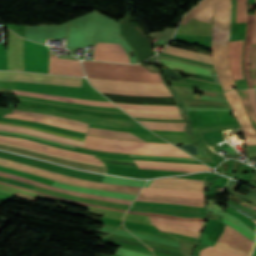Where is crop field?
<instances>
[{"instance_id": "crop-field-1", "label": "crop field", "mask_w": 256, "mask_h": 256, "mask_svg": "<svg viewBox=\"0 0 256 256\" xmlns=\"http://www.w3.org/2000/svg\"><path fill=\"white\" fill-rule=\"evenodd\" d=\"M2 124H8V125H14V126H21V127H27V128H33L38 129L62 136L82 139L62 133L52 132L32 126H26V125H18V124H10V123H3ZM0 124V130H7V131H15V132H21L65 144L75 145L82 147L83 141L62 137L38 130H32V129H26V128H20V127H14V126H8V125H2ZM85 148H91L99 151H107V152H120V153H137V154H153V155H169V156H186V157H192L188 155L187 153L183 152L182 150L176 148L175 146L171 144H155V143H149V142H140V141H129V140H117V139H108V138H100V137H94V136H88L85 137L84 146Z\"/></svg>"}, {"instance_id": "crop-field-2", "label": "crop field", "mask_w": 256, "mask_h": 256, "mask_svg": "<svg viewBox=\"0 0 256 256\" xmlns=\"http://www.w3.org/2000/svg\"><path fill=\"white\" fill-rule=\"evenodd\" d=\"M210 0H203L191 10L182 20L186 24L193 16L200 12ZM214 26L212 36V55L214 67L224 91L233 89L235 86L231 76L228 62L229 33H230V0H214Z\"/></svg>"}, {"instance_id": "crop-field-3", "label": "crop field", "mask_w": 256, "mask_h": 256, "mask_svg": "<svg viewBox=\"0 0 256 256\" xmlns=\"http://www.w3.org/2000/svg\"><path fill=\"white\" fill-rule=\"evenodd\" d=\"M58 56H52L49 47L32 43L25 39L24 46V67L25 70L45 72L54 74H66L84 76L79 61L57 59Z\"/></svg>"}, {"instance_id": "crop-field-4", "label": "crop field", "mask_w": 256, "mask_h": 256, "mask_svg": "<svg viewBox=\"0 0 256 256\" xmlns=\"http://www.w3.org/2000/svg\"><path fill=\"white\" fill-rule=\"evenodd\" d=\"M88 77L127 81L163 82L157 73H151L141 65H126L95 61L82 62Z\"/></svg>"}, {"instance_id": "crop-field-5", "label": "crop field", "mask_w": 256, "mask_h": 256, "mask_svg": "<svg viewBox=\"0 0 256 256\" xmlns=\"http://www.w3.org/2000/svg\"><path fill=\"white\" fill-rule=\"evenodd\" d=\"M0 144H5V145H0V148H2V149H6V150L13 151V152H16V153H20V154L40 158V159H45V160H49V161H53V162L73 166V167H78V168L91 170V171L102 172V173H104L105 169H106L105 165H101V164L68 159V158H64V157L51 155V154L43 153V152H40V151H36V150L16 146V145L9 144V143L0 142Z\"/></svg>"}, {"instance_id": "crop-field-6", "label": "crop field", "mask_w": 256, "mask_h": 256, "mask_svg": "<svg viewBox=\"0 0 256 256\" xmlns=\"http://www.w3.org/2000/svg\"><path fill=\"white\" fill-rule=\"evenodd\" d=\"M2 81H22L81 87L82 78L32 74L23 72H0Z\"/></svg>"}, {"instance_id": "crop-field-7", "label": "crop field", "mask_w": 256, "mask_h": 256, "mask_svg": "<svg viewBox=\"0 0 256 256\" xmlns=\"http://www.w3.org/2000/svg\"><path fill=\"white\" fill-rule=\"evenodd\" d=\"M88 79L95 88L100 89L120 91L169 92L164 83H138L93 78Z\"/></svg>"}, {"instance_id": "crop-field-8", "label": "crop field", "mask_w": 256, "mask_h": 256, "mask_svg": "<svg viewBox=\"0 0 256 256\" xmlns=\"http://www.w3.org/2000/svg\"><path fill=\"white\" fill-rule=\"evenodd\" d=\"M225 97L229 102L234 116L238 119L245 136V145L256 144V133L254 132L250 121L248 120L243 109L241 99L237 91L225 92Z\"/></svg>"}, {"instance_id": "crop-field-9", "label": "crop field", "mask_w": 256, "mask_h": 256, "mask_svg": "<svg viewBox=\"0 0 256 256\" xmlns=\"http://www.w3.org/2000/svg\"><path fill=\"white\" fill-rule=\"evenodd\" d=\"M0 163L15 166V167H19V168H23V169H26V170H30V171H34V172H38V173H42V174H46V175L53 176V177L63 179V180H66V181L77 182V183H82V184H87V185H93V186H99V187H105V188H111V189L135 191V192H139V190L141 189L139 187L105 184V183H99V182L84 180V179H80V178L70 177V176L45 171V170H42V169H38V168H35V167L23 165V164H20V163H16V162L4 160V159H0Z\"/></svg>"}, {"instance_id": "crop-field-10", "label": "crop field", "mask_w": 256, "mask_h": 256, "mask_svg": "<svg viewBox=\"0 0 256 256\" xmlns=\"http://www.w3.org/2000/svg\"><path fill=\"white\" fill-rule=\"evenodd\" d=\"M23 46L24 39L9 30L7 45L8 70H24Z\"/></svg>"}, {"instance_id": "crop-field-11", "label": "crop field", "mask_w": 256, "mask_h": 256, "mask_svg": "<svg viewBox=\"0 0 256 256\" xmlns=\"http://www.w3.org/2000/svg\"><path fill=\"white\" fill-rule=\"evenodd\" d=\"M94 60L130 63L120 44L97 43L94 49Z\"/></svg>"}, {"instance_id": "crop-field-12", "label": "crop field", "mask_w": 256, "mask_h": 256, "mask_svg": "<svg viewBox=\"0 0 256 256\" xmlns=\"http://www.w3.org/2000/svg\"><path fill=\"white\" fill-rule=\"evenodd\" d=\"M148 187L192 190L203 192V181L192 179L161 178L154 180Z\"/></svg>"}, {"instance_id": "crop-field-13", "label": "crop field", "mask_w": 256, "mask_h": 256, "mask_svg": "<svg viewBox=\"0 0 256 256\" xmlns=\"http://www.w3.org/2000/svg\"><path fill=\"white\" fill-rule=\"evenodd\" d=\"M0 176L16 179V180L26 182V183H29V184H32V185L42 186V187H45V188H48V189L56 190V191H59V192L70 194V195L93 198V199H99V200H105V201H111V202H117V203L128 204V205H131V203H132L131 200L116 199V198H111V197H106V196H101V195H95V194L65 190V189L53 187V186H50V185H46V184H43V183H39V182H36V181H32V180H29V179H25V178H22V177L14 176V175L3 173V172H0Z\"/></svg>"}, {"instance_id": "crop-field-14", "label": "crop field", "mask_w": 256, "mask_h": 256, "mask_svg": "<svg viewBox=\"0 0 256 256\" xmlns=\"http://www.w3.org/2000/svg\"><path fill=\"white\" fill-rule=\"evenodd\" d=\"M136 200L141 201H152V202H164V203H174L192 206L204 207V199L183 197V196H171V195H155V194H144L140 193Z\"/></svg>"}, {"instance_id": "crop-field-15", "label": "crop field", "mask_w": 256, "mask_h": 256, "mask_svg": "<svg viewBox=\"0 0 256 256\" xmlns=\"http://www.w3.org/2000/svg\"><path fill=\"white\" fill-rule=\"evenodd\" d=\"M218 242L230 245L249 254L251 253L254 244V242L227 225Z\"/></svg>"}, {"instance_id": "crop-field-16", "label": "crop field", "mask_w": 256, "mask_h": 256, "mask_svg": "<svg viewBox=\"0 0 256 256\" xmlns=\"http://www.w3.org/2000/svg\"><path fill=\"white\" fill-rule=\"evenodd\" d=\"M243 40L230 42L229 61L234 80L244 79L241 70V51Z\"/></svg>"}, {"instance_id": "crop-field-17", "label": "crop field", "mask_w": 256, "mask_h": 256, "mask_svg": "<svg viewBox=\"0 0 256 256\" xmlns=\"http://www.w3.org/2000/svg\"><path fill=\"white\" fill-rule=\"evenodd\" d=\"M153 225L164 226V227H172V228H182V229H190L194 231H200L203 222H184L173 219L159 218L149 216Z\"/></svg>"}, {"instance_id": "crop-field-18", "label": "crop field", "mask_w": 256, "mask_h": 256, "mask_svg": "<svg viewBox=\"0 0 256 256\" xmlns=\"http://www.w3.org/2000/svg\"><path fill=\"white\" fill-rule=\"evenodd\" d=\"M14 94L41 97V98L54 99V100H60V101H66V102H72V103H78V104H84V105H92V106H113V107L116 106V105L114 106L112 103H107V102L90 101V100H83V99H76V98L58 97V96L23 92V91H17V90H14Z\"/></svg>"}, {"instance_id": "crop-field-19", "label": "crop field", "mask_w": 256, "mask_h": 256, "mask_svg": "<svg viewBox=\"0 0 256 256\" xmlns=\"http://www.w3.org/2000/svg\"><path fill=\"white\" fill-rule=\"evenodd\" d=\"M253 20H254V16L248 15L247 29H246V44H245V47H248V48H250L251 46ZM249 59H250V49L245 48L244 49V70H245V75L247 77L248 86L249 88H252V82H251L250 72H249Z\"/></svg>"}, {"instance_id": "crop-field-20", "label": "crop field", "mask_w": 256, "mask_h": 256, "mask_svg": "<svg viewBox=\"0 0 256 256\" xmlns=\"http://www.w3.org/2000/svg\"><path fill=\"white\" fill-rule=\"evenodd\" d=\"M130 210L142 211V212H153V213H164V214H171V215L191 217V218H205L204 213H193V212H187V211L168 210V209H159V208H150V207L131 206Z\"/></svg>"}, {"instance_id": "crop-field-21", "label": "crop field", "mask_w": 256, "mask_h": 256, "mask_svg": "<svg viewBox=\"0 0 256 256\" xmlns=\"http://www.w3.org/2000/svg\"><path fill=\"white\" fill-rule=\"evenodd\" d=\"M87 134L105 136V137H111V138H118V139L142 140L130 133H127V132L95 129V128H90V127L88 128Z\"/></svg>"}, {"instance_id": "crop-field-22", "label": "crop field", "mask_w": 256, "mask_h": 256, "mask_svg": "<svg viewBox=\"0 0 256 256\" xmlns=\"http://www.w3.org/2000/svg\"><path fill=\"white\" fill-rule=\"evenodd\" d=\"M4 117H10V118L28 120V121H35V122H40V123H44V124L60 126V127L84 132V133L86 132V129H87V128H83V127H77V126H73V125H68V124H64V123H59V122H54V121H49V120H44V119H39V118H34V117L11 115V114H6V115H4Z\"/></svg>"}, {"instance_id": "crop-field-23", "label": "crop field", "mask_w": 256, "mask_h": 256, "mask_svg": "<svg viewBox=\"0 0 256 256\" xmlns=\"http://www.w3.org/2000/svg\"><path fill=\"white\" fill-rule=\"evenodd\" d=\"M160 61L164 62V63H169V64H165V65L168 66L171 69H177V70L189 71V72H196V73H201L203 75L211 76L210 71L206 70V69H202V68H198V67L178 63V62L164 61V60H160Z\"/></svg>"}, {"instance_id": "crop-field-24", "label": "crop field", "mask_w": 256, "mask_h": 256, "mask_svg": "<svg viewBox=\"0 0 256 256\" xmlns=\"http://www.w3.org/2000/svg\"><path fill=\"white\" fill-rule=\"evenodd\" d=\"M162 52L180 56V57H184V58H188V59H192V60H196V61H201V59L197 56L196 53L188 51V50L180 49L177 47H173L170 45H168V47L165 50H163Z\"/></svg>"}, {"instance_id": "crop-field-25", "label": "crop field", "mask_w": 256, "mask_h": 256, "mask_svg": "<svg viewBox=\"0 0 256 256\" xmlns=\"http://www.w3.org/2000/svg\"><path fill=\"white\" fill-rule=\"evenodd\" d=\"M116 104L121 108H134V109L158 110V111L178 110L177 106L133 105V104H121V103H116Z\"/></svg>"}, {"instance_id": "crop-field-26", "label": "crop field", "mask_w": 256, "mask_h": 256, "mask_svg": "<svg viewBox=\"0 0 256 256\" xmlns=\"http://www.w3.org/2000/svg\"><path fill=\"white\" fill-rule=\"evenodd\" d=\"M238 93L244 103L246 113L252 122L253 128L256 131V115L248 101V92L247 90H238Z\"/></svg>"}, {"instance_id": "crop-field-27", "label": "crop field", "mask_w": 256, "mask_h": 256, "mask_svg": "<svg viewBox=\"0 0 256 256\" xmlns=\"http://www.w3.org/2000/svg\"><path fill=\"white\" fill-rule=\"evenodd\" d=\"M0 166H4V167L16 169V170H20V171H24V172H28V173H32V174H35V175H39V176H42V177H46V178H49V179H53V180H56V181H60V182L71 184V185H75V186H81V187H87V188H93V189H99V190H108V191H114V192H123V193L137 194V193H134V192L118 191V190H111V189H105V188L86 186V185H82V184L70 183V182L59 180V179H56V178H53V177H49V176H46V175H42V174H38V173H34V172H30V171H26V170H22V169H18V168L6 166V165H3V164H0Z\"/></svg>"}, {"instance_id": "crop-field-28", "label": "crop field", "mask_w": 256, "mask_h": 256, "mask_svg": "<svg viewBox=\"0 0 256 256\" xmlns=\"http://www.w3.org/2000/svg\"><path fill=\"white\" fill-rule=\"evenodd\" d=\"M236 185H237V182H234V181H232V180L229 181V183L226 185V188H227V189H230L229 193H232V194H234V195H237V196L243 198L244 200H246V201H248V202H250V203L256 205V191L251 190V191L248 193V195L245 197V196H243V195H240V194H238V193L233 192L234 189H235V187H236Z\"/></svg>"}, {"instance_id": "crop-field-29", "label": "crop field", "mask_w": 256, "mask_h": 256, "mask_svg": "<svg viewBox=\"0 0 256 256\" xmlns=\"http://www.w3.org/2000/svg\"><path fill=\"white\" fill-rule=\"evenodd\" d=\"M200 256H240L233 253L225 252L215 247H207L200 251Z\"/></svg>"}, {"instance_id": "crop-field-30", "label": "crop field", "mask_w": 256, "mask_h": 256, "mask_svg": "<svg viewBox=\"0 0 256 256\" xmlns=\"http://www.w3.org/2000/svg\"><path fill=\"white\" fill-rule=\"evenodd\" d=\"M213 9H214V3H213V0H211L209 4L194 18L210 23V19L213 15Z\"/></svg>"}, {"instance_id": "crop-field-31", "label": "crop field", "mask_w": 256, "mask_h": 256, "mask_svg": "<svg viewBox=\"0 0 256 256\" xmlns=\"http://www.w3.org/2000/svg\"><path fill=\"white\" fill-rule=\"evenodd\" d=\"M0 171L14 173V174H17V175H20V176H23V177H26V178H29V179L37 180V181H40V182H43V183H47V184H50V185H52L54 183V181H51V180H48V179H44V178H41V177H38V176H35V175L27 174V173H24V172L8 169V168H4V167H0Z\"/></svg>"}, {"instance_id": "crop-field-32", "label": "crop field", "mask_w": 256, "mask_h": 256, "mask_svg": "<svg viewBox=\"0 0 256 256\" xmlns=\"http://www.w3.org/2000/svg\"><path fill=\"white\" fill-rule=\"evenodd\" d=\"M246 0H237L236 22H246Z\"/></svg>"}, {"instance_id": "crop-field-33", "label": "crop field", "mask_w": 256, "mask_h": 256, "mask_svg": "<svg viewBox=\"0 0 256 256\" xmlns=\"http://www.w3.org/2000/svg\"><path fill=\"white\" fill-rule=\"evenodd\" d=\"M250 69H251V75L253 80V86L254 88H256V45L255 44H252Z\"/></svg>"}, {"instance_id": "crop-field-34", "label": "crop field", "mask_w": 256, "mask_h": 256, "mask_svg": "<svg viewBox=\"0 0 256 256\" xmlns=\"http://www.w3.org/2000/svg\"><path fill=\"white\" fill-rule=\"evenodd\" d=\"M157 228H159L161 230L168 231V232L187 235V236H191V237H195V238H198V236L200 235V233L190 231V230L172 229V228H164V227H157Z\"/></svg>"}, {"instance_id": "crop-field-35", "label": "crop field", "mask_w": 256, "mask_h": 256, "mask_svg": "<svg viewBox=\"0 0 256 256\" xmlns=\"http://www.w3.org/2000/svg\"><path fill=\"white\" fill-rule=\"evenodd\" d=\"M223 222L228 224L229 226H231L232 228H234L235 230H237L238 232H240L241 234L245 235L246 237H248L249 239H251L252 241L255 240V237H253L251 234H249L248 232H246L244 229H242L241 227H239L238 225H236L235 223L229 221L228 219L222 217Z\"/></svg>"}, {"instance_id": "crop-field-36", "label": "crop field", "mask_w": 256, "mask_h": 256, "mask_svg": "<svg viewBox=\"0 0 256 256\" xmlns=\"http://www.w3.org/2000/svg\"><path fill=\"white\" fill-rule=\"evenodd\" d=\"M0 139H3V138H0ZM4 140L16 141V140H12V139H4ZM17 142H21V141H17ZM21 143L28 144V145H31V146H35V147H38V148H41V149L49 150V151H54V152H58V153L67 154V155H72V156H77V157H83V158H89V159L99 160V159H97V158H91V157H87V156H83V155H78V154H73V153H68V152L53 150V149H49V148H46V147H42V146H38V145L26 143V142H21ZM99 161H100V160H99Z\"/></svg>"}, {"instance_id": "crop-field-37", "label": "crop field", "mask_w": 256, "mask_h": 256, "mask_svg": "<svg viewBox=\"0 0 256 256\" xmlns=\"http://www.w3.org/2000/svg\"><path fill=\"white\" fill-rule=\"evenodd\" d=\"M0 69L7 70V57L5 44H0Z\"/></svg>"}, {"instance_id": "crop-field-38", "label": "crop field", "mask_w": 256, "mask_h": 256, "mask_svg": "<svg viewBox=\"0 0 256 256\" xmlns=\"http://www.w3.org/2000/svg\"><path fill=\"white\" fill-rule=\"evenodd\" d=\"M215 247L220 248V249L225 250V251H229V252H233V253H236V254H240V255H243V256H249V254H247V253H244V252H242L240 250H237L235 248H232L230 246H227V245H224V244H221V243H218V242L215 244Z\"/></svg>"}, {"instance_id": "crop-field-39", "label": "crop field", "mask_w": 256, "mask_h": 256, "mask_svg": "<svg viewBox=\"0 0 256 256\" xmlns=\"http://www.w3.org/2000/svg\"><path fill=\"white\" fill-rule=\"evenodd\" d=\"M0 141H4V140H0ZM4 142L14 143V144H18V145H21V146H25V147L37 149V148L30 147V146H27V145H24V144H20V143H16V142H11V141H4ZM37 150L44 151V152L51 153V154L61 155V156L69 157V158H74V159H78V160H84V161H91V162H96V163H102V162H99V161H94V160H89V159H83V158H77V157H71V156L62 155V154H57V153H53V152H49V151H45V150H41V149H37Z\"/></svg>"}, {"instance_id": "crop-field-40", "label": "crop field", "mask_w": 256, "mask_h": 256, "mask_svg": "<svg viewBox=\"0 0 256 256\" xmlns=\"http://www.w3.org/2000/svg\"><path fill=\"white\" fill-rule=\"evenodd\" d=\"M226 211L231 213L232 215L236 216L237 218H239L240 220H242L244 223H246L248 226H250L252 229L255 230L256 224L252 223L251 221H249L248 219L244 218L243 216H241L240 214H238L237 212H235L231 209L227 208Z\"/></svg>"}, {"instance_id": "crop-field-41", "label": "crop field", "mask_w": 256, "mask_h": 256, "mask_svg": "<svg viewBox=\"0 0 256 256\" xmlns=\"http://www.w3.org/2000/svg\"><path fill=\"white\" fill-rule=\"evenodd\" d=\"M0 181H4V182L10 183V184H14V185H18V186H22V187H26V188L34 190V186H32V185L25 184V183H22V182L11 180V179H7V178H4V177H0Z\"/></svg>"}, {"instance_id": "crop-field-42", "label": "crop field", "mask_w": 256, "mask_h": 256, "mask_svg": "<svg viewBox=\"0 0 256 256\" xmlns=\"http://www.w3.org/2000/svg\"><path fill=\"white\" fill-rule=\"evenodd\" d=\"M137 165L186 168V169H196V170H212L210 168H194V167H181V166H168V165L141 164V163H137Z\"/></svg>"}, {"instance_id": "crop-field-43", "label": "crop field", "mask_w": 256, "mask_h": 256, "mask_svg": "<svg viewBox=\"0 0 256 256\" xmlns=\"http://www.w3.org/2000/svg\"><path fill=\"white\" fill-rule=\"evenodd\" d=\"M0 132H2V133H8V134H14V135L27 136V137H31V138L40 139V138H37V137H33V136H29V135H24V134H20V133L7 132V131H0ZM40 140H44V139H40ZM44 141H48V140H44ZM48 142H51V143H54V144H58V145H62V146H66V147H72V148H78V149H80L79 147H75V146L65 145V144L56 143V142H52V141H48Z\"/></svg>"}, {"instance_id": "crop-field-44", "label": "crop field", "mask_w": 256, "mask_h": 256, "mask_svg": "<svg viewBox=\"0 0 256 256\" xmlns=\"http://www.w3.org/2000/svg\"><path fill=\"white\" fill-rule=\"evenodd\" d=\"M134 162H147V163H161V164H175V165H189V166H203V167H207L205 165L187 164V163L148 162V161H138V160H134Z\"/></svg>"}, {"instance_id": "crop-field-45", "label": "crop field", "mask_w": 256, "mask_h": 256, "mask_svg": "<svg viewBox=\"0 0 256 256\" xmlns=\"http://www.w3.org/2000/svg\"><path fill=\"white\" fill-rule=\"evenodd\" d=\"M128 113L133 115H150V116H181L180 114H149V113H132V112H128Z\"/></svg>"}, {"instance_id": "crop-field-46", "label": "crop field", "mask_w": 256, "mask_h": 256, "mask_svg": "<svg viewBox=\"0 0 256 256\" xmlns=\"http://www.w3.org/2000/svg\"><path fill=\"white\" fill-rule=\"evenodd\" d=\"M1 137H8V136H1ZM8 138L20 139V140H24V141H27V142L35 143V144H38V145L50 147V146H48V145L40 144V143H37V142H33V141L21 139V138H15V137H8ZM50 148H54V147H50ZM54 149H58V148H54ZM58 150H63V149H58ZM63 151H67V150H63ZM68 152H71V151H68ZM73 153H76V152H73ZM78 154H81V153H78ZM83 155H87V154H83ZM88 156H92V155H88ZM92 157H94V156H92Z\"/></svg>"}, {"instance_id": "crop-field-47", "label": "crop field", "mask_w": 256, "mask_h": 256, "mask_svg": "<svg viewBox=\"0 0 256 256\" xmlns=\"http://www.w3.org/2000/svg\"><path fill=\"white\" fill-rule=\"evenodd\" d=\"M227 202L230 203V204H232V205L238 206V207H240V208H242V209L248 211L249 213L253 214L254 216H256V211H254V210H250V209H248V208H246V207H244V206H242V205H240V204H238V203H235V202H233V201H230V200H228V199H227Z\"/></svg>"}, {"instance_id": "crop-field-48", "label": "crop field", "mask_w": 256, "mask_h": 256, "mask_svg": "<svg viewBox=\"0 0 256 256\" xmlns=\"http://www.w3.org/2000/svg\"><path fill=\"white\" fill-rule=\"evenodd\" d=\"M131 116H133V115H131ZM133 117L153 118V119H182L181 117H150V116H133Z\"/></svg>"}, {"instance_id": "crop-field-49", "label": "crop field", "mask_w": 256, "mask_h": 256, "mask_svg": "<svg viewBox=\"0 0 256 256\" xmlns=\"http://www.w3.org/2000/svg\"><path fill=\"white\" fill-rule=\"evenodd\" d=\"M140 168H145V169H161V170H178V171L194 172V170H180V169H168V168L145 167V166H140Z\"/></svg>"}, {"instance_id": "crop-field-50", "label": "crop field", "mask_w": 256, "mask_h": 256, "mask_svg": "<svg viewBox=\"0 0 256 256\" xmlns=\"http://www.w3.org/2000/svg\"><path fill=\"white\" fill-rule=\"evenodd\" d=\"M204 62L213 64L212 57L198 54Z\"/></svg>"}, {"instance_id": "crop-field-51", "label": "crop field", "mask_w": 256, "mask_h": 256, "mask_svg": "<svg viewBox=\"0 0 256 256\" xmlns=\"http://www.w3.org/2000/svg\"><path fill=\"white\" fill-rule=\"evenodd\" d=\"M125 111H132V112H150V113H179V111L175 112H158V111H137V110H131V109H124Z\"/></svg>"}, {"instance_id": "crop-field-52", "label": "crop field", "mask_w": 256, "mask_h": 256, "mask_svg": "<svg viewBox=\"0 0 256 256\" xmlns=\"http://www.w3.org/2000/svg\"><path fill=\"white\" fill-rule=\"evenodd\" d=\"M130 156H137V155H130ZM137 157L168 158V157H152V156H137ZM169 159H189V160H196V159H194V158H169Z\"/></svg>"}, {"instance_id": "crop-field-53", "label": "crop field", "mask_w": 256, "mask_h": 256, "mask_svg": "<svg viewBox=\"0 0 256 256\" xmlns=\"http://www.w3.org/2000/svg\"><path fill=\"white\" fill-rule=\"evenodd\" d=\"M252 43L256 44V17H255V23H254V29H253Z\"/></svg>"}, {"instance_id": "crop-field-54", "label": "crop field", "mask_w": 256, "mask_h": 256, "mask_svg": "<svg viewBox=\"0 0 256 256\" xmlns=\"http://www.w3.org/2000/svg\"><path fill=\"white\" fill-rule=\"evenodd\" d=\"M251 256H256V244H255V247H254V250H253V253Z\"/></svg>"}]
</instances>
